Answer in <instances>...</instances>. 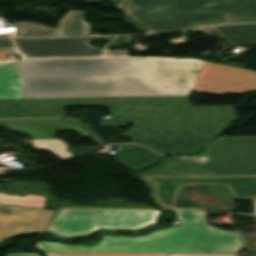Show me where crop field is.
<instances>
[{
	"label": "crop field",
	"instance_id": "crop-field-14",
	"mask_svg": "<svg viewBox=\"0 0 256 256\" xmlns=\"http://www.w3.org/2000/svg\"><path fill=\"white\" fill-rule=\"evenodd\" d=\"M89 35V24L84 11H71L60 21V36Z\"/></svg>",
	"mask_w": 256,
	"mask_h": 256
},
{
	"label": "crop field",
	"instance_id": "crop-field-5",
	"mask_svg": "<svg viewBox=\"0 0 256 256\" xmlns=\"http://www.w3.org/2000/svg\"><path fill=\"white\" fill-rule=\"evenodd\" d=\"M202 154L204 162L172 158L150 175L256 174V136L218 137Z\"/></svg>",
	"mask_w": 256,
	"mask_h": 256
},
{
	"label": "crop field",
	"instance_id": "crop-field-22",
	"mask_svg": "<svg viewBox=\"0 0 256 256\" xmlns=\"http://www.w3.org/2000/svg\"><path fill=\"white\" fill-rule=\"evenodd\" d=\"M169 256H234V255H169Z\"/></svg>",
	"mask_w": 256,
	"mask_h": 256
},
{
	"label": "crop field",
	"instance_id": "crop-field-3",
	"mask_svg": "<svg viewBox=\"0 0 256 256\" xmlns=\"http://www.w3.org/2000/svg\"><path fill=\"white\" fill-rule=\"evenodd\" d=\"M183 225L127 238L104 235L97 246H64L37 241L44 252H172L236 253L242 247L237 232L221 231L205 222L208 212L176 210Z\"/></svg>",
	"mask_w": 256,
	"mask_h": 256
},
{
	"label": "crop field",
	"instance_id": "crop-field-9",
	"mask_svg": "<svg viewBox=\"0 0 256 256\" xmlns=\"http://www.w3.org/2000/svg\"><path fill=\"white\" fill-rule=\"evenodd\" d=\"M57 211L0 205V243L21 233H43Z\"/></svg>",
	"mask_w": 256,
	"mask_h": 256
},
{
	"label": "crop field",
	"instance_id": "crop-field-7",
	"mask_svg": "<svg viewBox=\"0 0 256 256\" xmlns=\"http://www.w3.org/2000/svg\"><path fill=\"white\" fill-rule=\"evenodd\" d=\"M161 207H175L182 186H227L233 199L256 198V175L141 176Z\"/></svg>",
	"mask_w": 256,
	"mask_h": 256
},
{
	"label": "crop field",
	"instance_id": "crop-field-21",
	"mask_svg": "<svg viewBox=\"0 0 256 256\" xmlns=\"http://www.w3.org/2000/svg\"><path fill=\"white\" fill-rule=\"evenodd\" d=\"M129 0H121L119 4L116 6V9L123 11L124 7L128 3Z\"/></svg>",
	"mask_w": 256,
	"mask_h": 256
},
{
	"label": "crop field",
	"instance_id": "crop-field-13",
	"mask_svg": "<svg viewBox=\"0 0 256 256\" xmlns=\"http://www.w3.org/2000/svg\"><path fill=\"white\" fill-rule=\"evenodd\" d=\"M213 29L232 47L256 45V24L214 26Z\"/></svg>",
	"mask_w": 256,
	"mask_h": 256
},
{
	"label": "crop field",
	"instance_id": "crop-field-24",
	"mask_svg": "<svg viewBox=\"0 0 256 256\" xmlns=\"http://www.w3.org/2000/svg\"><path fill=\"white\" fill-rule=\"evenodd\" d=\"M110 45H112V44H115V45H117V42H116V37H110Z\"/></svg>",
	"mask_w": 256,
	"mask_h": 256
},
{
	"label": "crop field",
	"instance_id": "crop-field-11",
	"mask_svg": "<svg viewBox=\"0 0 256 256\" xmlns=\"http://www.w3.org/2000/svg\"><path fill=\"white\" fill-rule=\"evenodd\" d=\"M214 138L215 137L133 138V142L145 145L161 154H191L201 151Z\"/></svg>",
	"mask_w": 256,
	"mask_h": 256
},
{
	"label": "crop field",
	"instance_id": "crop-field-2",
	"mask_svg": "<svg viewBox=\"0 0 256 256\" xmlns=\"http://www.w3.org/2000/svg\"><path fill=\"white\" fill-rule=\"evenodd\" d=\"M64 105L109 106L101 126L133 123L124 137L217 136L236 118L233 106L191 107L188 96L0 100V118L63 117Z\"/></svg>",
	"mask_w": 256,
	"mask_h": 256
},
{
	"label": "crop field",
	"instance_id": "crop-field-4",
	"mask_svg": "<svg viewBox=\"0 0 256 256\" xmlns=\"http://www.w3.org/2000/svg\"><path fill=\"white\" fill-rule=\"evenodd\" d=\"M127 23L152 34L256 22V0H130Z\"/></svg>",
	"mask_w": 256,
	"mask_h": 256
},
{
	"label": "crop field",
	"instance_id": "crop-field-10",
	"mask_svg": "<svg viewBox=\"0 0 256 256\" xmlns=\"http://www.w3.org/2000/svg\"><path fill=\"white\" fill-rule=\"evenodd\" d=\"M0 126L10 132L27 134L32 139L53 138L61 129L75 130L83 137L91 136L89 131L83 129L84 122L63 119L0 120Z\"/></svg>",
	"mask_w": 256,
	"mask_h": 256
},
{
	"label": "crop field",
	"instance_id": "crop-field-16",
	"mask_svg": "<svg viewBox=\"0 0 256 256\" xmlns=\"http://www.w3.org/2000/svg\"><path fill=\"white\" fill-rule=\"evenodd\" d=\"M31 145L38 150H50L63 160L72 156V154L66 150V144L58 139L33 140Z\"/></svg>",
	"mask_w": 256,
	"mask_h": 256
},
{
	"label": "crop field",
	"instance_id": "crop-field-19",
	"mask_svg": "<svg viewBox=\"0 0 256 256\" xmlns=\"http://www.w3.org/2000/svg\"><path fill=\"white\" fill-rule=\"evenodd\" d=\"M9 57H15L14 50H0V61H8Z\"/></svg>",
	"mask_w": 256,
	"mask_h": 256
},
{
	"label": "crop field",
	"instance_id": "crop-field-1",
	"mask_svg": "<svg viewBox=\"0 0 256 256\" xmlns=\"http://www.w3.org/2000/svg\"><path fill=\"white\" fill-rule=\"evenodd\" d=\"M15 75L20 78L16 79ZM256 72L175 58H84L0 62V99L242 93Z\"/></svg>",
	"mask_w": 256,
	"mask_h": 256
},
{
	"label": "crop field",
	"instance_id": "crop-field-15",
	"mask_svg": "<svg viewBox=\"0 0 256 256\" xmlns=\"http://www.w3.org/2000/svg\"><path fill=\"white\" fill-rule=\"evenodd\" d=\"M19 29V37H53L57 36V29L47 27L36 22L12 23Z\"/></svg>",
	"mask_w": 256,
	"mask_h": 256
},
{
	"label": "crop field",
	"instance_id": "crop-field-6",
	"mask_svg": "<svg viewBox=\"0 0 256 256\" xmlns=\"http://www.w3.org/2000/svg\"><path fill=\"white\" fill-rule=\"evenodd\" d=\"M154 210H67L61 209L45 232L72 238L91 235L97 229L137 230L157 223Z\"/></svg>",
	"mask_w": 256,
	"mask_h": 256
},
{
	"label": "crop field",
	"instance_id": "crop-field-8",
	"mask_svg": "<svg viewBox=\"0 0 256 256\" xmlns=\"http://www.w3.org/2000/svg\"><path fill=\"white\" fill-rule=\"evenodd\" d=\"M94 38H70V39H11L0 40V49L15 48L16 53L23 59L42 58H80V57H105L128 56L124 53H111L107 49H96L88 45Z\"/></svg>",
	"mask_w": 256,
	"mask_h": 256
},
{
	"label": "crop field",
	"instance_id": "crop-field-25",
	"mask_svg": "<svg viewBox=\"0 0 256 256\" xmlns=\"http://www.w3.org/2000/svg\"><path fill=\"white\" fill-rule=\"evenodd\" d=\"M254 214H256V200L253 201Z\"/></svg>",
	"mask_w": 256,
	"mask_h": 256
},
{
	"label": "crop field",
	"instance_id": "crop-field-17",
	"mask_svg": "<svg viewBox=\"0 0 256 256\" xmlns=\"http://www.w3.org/2000/svg\"><path fill=\"white\" fill-rule=\"evenodd\" d=\"M0 203L44 207L45 197L34 196V195H27L25 197H20V196H9V195L0 194Z\"/></svg>",
	"mask_w": 256,
	"mask_h": 256
},
{
	"label": "crop field",
	"instance_id": "crop-field-20",
	"mask_svg": "<svg viewBox=\"0 0 256 256\" xmlns=\"http://www.w3.org/2000/svg\"><path fill=\"white\" fill-rule=\"evenodd\" d=\"M167 159H169V158H164L156 167H153V168H150V169H148V170H146V171H144V172H141L140 175H149V172H150L151 170H154V169L160 167L161 165H163V163H164Z\"/></svg>",
	"mask_w": 256,
	"mask_h": 256
},
{
	"label": "crop field",
	"instance_id": "crop-field-18",
	"mask_svg": "<svg viewBox=\"0 0 256 256\" xmlns=\"http://www.w3.org/2000/svg\"><path fill=\"white\" fill-rule=\"evenodd\" d=\"M170 253H46V256H166Z\"/></svg>",
	"mask_w": 256,
	"mask_h": 256
},
{
	"label": "crop field",
	"instance_id": "crop-field-23",
	"mask_svg": "<svg viewBox=\"0 0 256 256\" xmlns=\"http://www.w3.org/2000/svg\"><path fill=\"white\" fill-rule=\"evenodd\" d=\"M7 256H38L36 254H7Z\"/></svg>",
	"mask_w": 256,
	"mask_h": 256
},
{
	"label": "crop field",
	"instance_id": "crop-field-12",
	"mask_svg": "<svg viewBox=\"0 0 256 256\" xmlns=\"http://www.w3.org/2000/svg\"><path fill=\"white\" fill-rule=\"evenodd\" d=\"M119 146V153L115 161L134 171L145 166L153 165L162 157V155L145 147L133 144H124Z\"/></svg>",
	"mask_w": 256,
	"mask_h": 256
}]
</instances>
